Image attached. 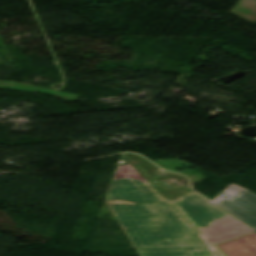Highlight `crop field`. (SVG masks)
Listing matches in <instances>:
<instances>
[{
  "label": "crop field",
  "mask_w": 256,
  "mask_h": 256,
  "mask_svg": "<svg viewBox=\"0 0 256 256\" xmlns=\"http://www.w3.org/2000/svg\"><path fill=\"white\" fill-rule=\"evenodd\" d=\"M159 168L122 154L105 200L139 256H225L172 203L191 191L152 182Z\"/></svg>",
  "instance_id": "8a807250"
},
{
  "label": "crop field",
  "mask_w": 256,
  "mask_h": 256,
  "mask_svg": "<svg viewBox=\"0 0 256 256\" xmlns=\"http://www.w3.org/2000/svg\"><path fill=\"white\" fill-rule=\"evenodd\" d=\"M173 203L216 244L254 232L195 192Z\"/></svg>",
  "instance_id": "ac0d7876"
},
{
  "label": "crop field",
  "mask_w": 256,
  "mask_h": 256,
  "mask_svg": "<svg viewBox=\"0 0 256 256\" xmlns=\"http://www.w3.org/2000/svg\"><path fill=\"white\" fill-rule=\"evenodd\" d=\"M223 192L228 194L229 197L222 198L218 196L213 203L256 229V194L233 183Z\"/></svg>",
  "instance_id": "34b2d1b8"
}]
</instances>
